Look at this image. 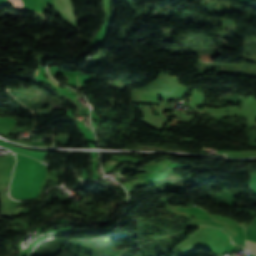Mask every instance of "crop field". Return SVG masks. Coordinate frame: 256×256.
<instances>
[{"label": "crop field", "instance_id": "ac0d7876", "mask_svg": "<svg viewBox=\"0 0 256 256\" xmlns=\"http://www.w3.org/2000/svg\"><path fill=\"white\" fill-rule=\"evenodd\" d=\"M246 249L256 254V243L246 240Z\"/></svg>", "mask_w": 256, "mask_h": 256}, {"label": "crop field", "instance_id": "412701ff", "mask_svg": "<svg viewBox=\"0 0 256 256\" xmlns=\"http://www.w3.org/2000/svg\"><path fill=\"white\" fill-rule=\"evenodd\" d=\"M227 234V233H226ZM228 235V234H227Z\"/></svg>", "mask_w": 256, "mask_h": 256}, {"label": "crop field", "instance_id": "34b2d1b8", "mask_svg": "<svg viewBox=\"0 0 256 256\" xmlns=\"http://www.w3.org/2000/svg\"><path fill=\"white\" fill-rule=\"evenodd\" d=\"M38 70H36L35 76H37Z\"/></svg>", "mask_w": 256, "mask_h": 256}, {"label": "crop field", "instance_id": "8a807250", "mask_svg": "<svg viewBox=\"0 0 256 256\" xmlns=\"http://www.w3.org/2000/svg\"><path fill=\"white\" fill-rule=\"evenodd\" d=\"M0 145L3 146V147L9 148V149H11V150H13L15 152H20V153H24V154H26L28 156L35 157V158H37V159H39L41 161L44 160L45 153H46V152H34V151H28V150H25V149H21V148H18L16 146H13V145H11L9 143H6V142H4L2 140H0Z\"/></svg>", "mask_w": 256, "mask_h": 256}]
</instances>
